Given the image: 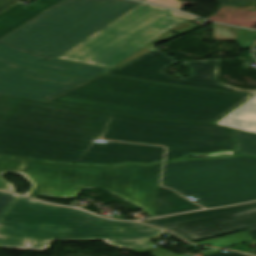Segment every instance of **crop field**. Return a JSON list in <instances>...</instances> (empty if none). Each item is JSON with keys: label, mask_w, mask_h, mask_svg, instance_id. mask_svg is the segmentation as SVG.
I'll use <instances>...</instances> for the list:
<instances>
[{"label": "crop field", "mask_w": 256, "mask_h": 256, "mask_svg": "<svg viewBox=\"0 0 256 256\" xmlns=\"http://www.w3.org/2000/svg\"><path fill=\"white\" fill-rule=\"evenodd\" d=\"M188 152L234 149L232 130L213 124L149 120L0 95V155L44 161L117 165Z\"/></svg>", "instance_id": "8a807250"}, {"label": "crop field", "mask_w": 256, "mask_h": 256, "mask_svg": "<svg viewBox=\"0 0 256 256\" xmlns=\"http://www.w3.org/2000/svg\"><path fill=\"white\" fill-rule=\"evenodd\" d=\"M251 96L100 74L45 102L149 119L213 123Z\"/></svg>", "instance_id": "ac0d7876"}, {"label": "crop field", "mask_w": 256, "mask_h": 256, "mask_svg": "<svg viewBox=\"0 0 256 256\" xmlns=\"http://www.w3.org/2000/svg\"><path fill=\"white\" fill-rule=\"evenodd\" d=\"M139 3L63 0L0 39V57L26 67L90 78L108 68L54 58Z\"/></svg>", "instance_id": "34b2d1b8"}, {"label": "crop field", "mask_w": 256, "mask_h": 256, "mask_svg": "<svg viewBox=\"0 0 256 256\" xmlns=\"http://www.w3.org/2000/svg\"><path fill=\"white\" fill-rule=\"evenodd\" d=\"M161 231L140 223L113 222L86 212L16 195L0 216V247L45 250L52 241L101 239L136 252L151 248Z\"/></svg>", "instance_id": "412701ff"}, {"label": "crop field", "mask_w": 256, "mask_h": 256, "mask_svg": "<svg viewBox=\"0 0 256 256\" xmlns=\"http://www.w3.org/2000/svg\"><path fill=\"white\" fill-rule=\"evenodd\" d=\"M161 165L77 166L0 157V190L14 192L13 185L1 178L2 173L13 171L32 183L25 196L75 198L84 188H99L153 217Z\"/></svg>", "instance_id": "f4fd0767"}, {"label": "crop field", "mask_w": 256, "mask_h": 256, "mask_svg": "<svg viewBox=\"0 0 256 256\" xmlns=\"http://www.w3.org/2000/svg\"><path fill=\"white\" fill-rule=\"evenodd\" d=\"M172 12L174 10L142 2L57 59L114 68L154 50L156 42L199 27L169 16Z\"/></svg>", "instance_id": "dd49c442"}, {"label": "crop field", "mask_w": 256, "mask_h": 256, "mask_svg": "<svg viewBox=\"0 0 256 256\" xmlns=\"http://www.w3.org/2000/svg\"><path fill=\"white\" fill-rule=\"evenodd\" d=\"M161 184L205 208L256 200V181L240 183L236 157L165 163Z\"/></svg>", "instance_id": "e52e79f7"}, {"label": "crop field", "mask_w": 256, "mask_h": 256, "mask_svg": "<svg viewBox=\"0 0 256 256\" xmlns=\"http://www.w3.org/2000/svg\"><path fill=\"white\" fill-rule=\"evenodd\" d=\"M175 63L179 62L162 51L154 50L104 73L173 85L250 94L256 93V90H242L218 82L219 60L184 62L191 70L190 77L184 79L172 78V76L163 71L169 65Z\"/></svg>", "instance_id": "d8731c3e"}, {"label": "crop field", "mask_w": 256, "mask_h": 256, "mask_svg": "<svg viewBox=\"0 0 256 256\" xmlns=\"http://www.w3.org/2000/svg\"><path fill=\"white\" fill-rule=\"evenodd\" d=\"M87 79L28 69L0 59V94L43 101Z\"/></svg>", "instance_id": "5a996713"}, {"label": "crop field", "mask_w": 256, "mask_h": 256, "mask_svg": "<svg viewBox=\"0 0 256 256\" xmlns=\"http://www.w3.org/2000/svg\"><path fill=\"white\" fill-rule=\"evenodd\" d=\"M256 228V210L172 226L169 230L186 241L193 242L229 233Z\"/></svg>", "instance_id": "3316defc"}, {"label": "crop field", "mask_w": 256, "mask_h": 256, "mask_svg": "<svg viewBox=\"0 0 256 256\" xmlns=\"http://www.w3.org/2000/svg\"><path fill=\"white\" fill-rule=\"evenodd\" d=\"M62 0H36L25 6L16 3L0 13V38Z\"/></svg>", "instance_id": "28ad6ade"}, {"label": "crop field", "mask_w": 256, "mask_h": 256, "mask_svg": "<svg viewBox=\"0 0 256 256\" xmlns=\"http://www.w3.org/2000/svg\"><path fill=\"white\" fill-rule=\"evenodd\" d=\"M256 209V202L249 203V204H243L228 208H222V209H216V210H208V211H200V212H194V213H188V214H182L177 216H171L161 219H155L150 221H144L143 223H147L150 225L158 226V227H164V226H172L247 210Z\"/></svg>", "instance_id": "d1516ede"}, {"label": "crop field", "mask_w": 256, "mask_h": 256, "mask_svg": "<svg viewBox=\"0 0 256 256\" xmlns=\"http://www.w3.org/2000/svg\"><path fill=\"white\" fill-rule=\"evenodd\" d=\"M216 124L256 133V95Z\"/></svg>", "instance_id": "22f410ed"}, {"label": "crop field", "mask_w": 256, "mask_h": 256, "mask_svg": "<svg viewBox=\"0 0 256 256\" xmlns=\"http://www.w3.org/2000/svg\"><path fill=\"white\" fill-rule=\"evenodd\" d=\"M196 209L202 208L177 193L159 186L154 217Z\"/></svg>", "instance_id": "cbeb9de0"}, {"label": "crop field", "mask_w": 256, "mask_h": 256, "mask_svg": "<svg viewBox=\"0 0 256 256\" xmlns=\"http://www.w3.org/2000/svg\"><path fill=\"white\" fill-rule=\"evenodd\" d=\"M235 135L238 142L239 153L256 156V134L245 131H235Z\"/></svg>", "instance_id": "5142ce71"}, {"label": "crop field", "mask_w": 256, "mask_h": 256, "mask_svg": "<svg viewBox=\"0 0 256 256\" xmlns=\"http://www.w3.org/2000/svg\"><path fill=\"white\" fill-rule=\"evenodd\" d=\"M241 182L256 179V159L237 156Z\"/></svg>", "instance_id": "d9b57169"}, {"label": "crop field", "mask_w": 256, "mask_h": 256, "mask_svg": "<svg viewBox=\"0 0 256 256\" xmlns=\"http://www.w3.org/2000/svg\"><path fill=\"white\" fill-rule=\"evenodd\" d=\"M214 40H236L237 34L233 27L213 24Z\"/></svg>", "instance_id": "733c2abd"}, {"label": "crop field", "mask_w": 256, "mask_h": 256, "mask_svg": "<svg viewBox=\"0 0 256 256\" xmlns=\"http://www.w3.org/2000/svg\"><path fill=\"white\" fill-rule=\"evenodd\" d=\"M220 4L256 11V0H217Z\"/></svg>", "instance_id": "4a817a6b"}, {"label": "crop field", "mask_w": 256, "mask_h": 256, "mask_svg": "<svg viewBox=\"0 0 256 256\" xmlns=\"http://www.w3.org/2000/svg\"><path fill=\"white\" fill-rule=\"evenodd\" d=\"M246 33H250L249 36H244V35H238L239 39L237 40V42L239 43V45L243 48L248 49L251 46V43L254 42L256 40V31L254 33H251L249 31H247L246 29H242Z\"/></svg>", "instance_id": "bc2a9ffb"}, {"label": "crop field", "mask_w": 256, "mask_h": 256, "mask_svg": "<svg viewBox=\"0 0 256 256\" xmlns=\"http://www.w3.org/2000/svg\"><path fill=\"white\" fill-rule=\"evenodd\" d=\"M153 3L161 4L164 6L172 7L179 9L182 3H180L178 0H147Z\"/></svg>", "instance_id": "214f88e0"}, {"label": "crop field", "mask_w": 256, "mask_h": 256, "mask_svg": "<svg viewBox=\"0 0 256 256\" xmlns=\"http://www.w3.org/2000/svg\"><path fill=\"white\" fill-rule=\"evenodd\" d=\"M13 196V194L0 192V213L9 203V201L13 198Z\"/></svg>", "instance_id": "92a150f3"}, {"label": "crop field", "mask_w": 256, "mask_h": 256, "mask_svg": "<svg viewBox=\"0 0 256 256\" xmlns=\"http://www.w3.org/2000/svg\"><path fill=\"white\" fill-rule=\"evenodd\" d=\"M151 256H179V255H176L166 249H163V250H160V251H156V252H152L150 253Z\"/></svg>", "instance_id": "dafd665d"}, {"label": "crop field", "mask_w": 256, "mask_h": 256, "mask_svg": "<svg viewBox=\"0 0 256 256\" xmlns=\"http://www.w3.org/2000/svg\"><path fill=\"white\" fill-rule=\"evenodd\" d=\"M18 0H0V12L16 3Z\"/></svg>", "instance_id": "00972430"}, {"label": "crop field", "mask_w": 256, "mask_h": 256, "mask_svg": "<svg viewBox=\"0 0 256 256\" xmlns=\"http://www.w3.org/2000/svg\"><path fill=\"white\" fill-rule=\"evenodd\" d=\"M208 256H248V255L241 254V253H236V252H231V253H228V254L218 252V253L211 254V255H208Z\"/></svg>", "instance_id": "a9b5d70f"}, {"label": "crop field", "mask_w": 256, "mask_h": 256, "mask_svg": "<svg viewBox=\"0 0 256 256\" xmlns=\"http://www.w3.org/2000/svg\"><path fill=\"white\" fill-rule=\"evenodd\" d=\"M247 233L251 235L252 237H256V229L248 230ZM256 256V249L245 252Z\"/></svg>", "instance_id": "4177f3b9"}]
</instances>
